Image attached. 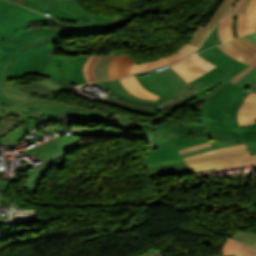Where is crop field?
<instances>
[{
  "label": "crop field",
  "instance_id": "32",
  "mask_svg": "<svg viewBox=\"0 0 256 256\" xmlns=\"http://www.w3.org/2000/svg\"><path fill=\"white\" fill-rule=\"evenodd\" d=\"M89 56H80L73 66V77L77 85L86 83L82 74V65Z\"/></svg>",
  "mask_w": 256,
  "mask_h": 256
},
{
  "label": "crop field",
  "instance_id": "44",
  "mask_svg": "<svg viewBox=\"0 0 256 256\" xmlns=\"http://www.w3.org/2000/svg\"><path fill=\"white\" fill-rule=\"evenodd\" d=\"M71 3H72L73 9L76 10L77 12H79L80 14H82V15L88 17V18H92V19L94 18V15H93V14H91V13H89V12L83 10V9L79 6L77 0H71Z\"/></svg>",
  "mask_w": 256,
  "mask_h": 256
},
{
  "label": "crop field",
  "instance_id": "52",
  "mask_svg": "<svg viewBox=\"0 0 256 256\" xmlns=\"http://www.w3.org/2000/svg\"><path fill=\"white\" fill-rule=\"evenodd\" d=\"M50 80H52V79H50ZM52 81L57 82V83H59V84H61V85H64V86H66V87H68V88H72L73 86H75V85H73V84H71V83H69V82L55 81V80H52Z\"/></svg>",
  "mask_w": 256,
  "mask_h": 256
},
{
  "label": "crop field",
  "instance_id": "57",
  "mask_svg": "<svg viewBox=\"0 0 256 256\" xmlns=\"http://www.w3.org/2000/svg\"><path fill=\"white\" fill-rule=\"evenodd\" d=\"M56 3L59 2V0H54Z\"/></svg>",
  "mask_w": 256,
  "mask_h": 256
},
{
  "label": "crop field",
  "instance_id": "4",
  "mask_svg": "<svg viewBox=\"0 0 256 256\" xmlns=\"http://www.w3.org/2000/svg\"><path fill=\"white\" fill-rule=\"evenodd\" d=\"M27 103H38L44 115L40 119L43 121L28 130L18 128L3 139L0 140V146H9L18 144L24 139L35 127L44 123L63 119L72 118V122H113L115 119L110 118V112L98 109L80 107L71 104L59 103L54 100L30 97ZM10 142L6 143L5 141Z\"/></svg>",
  "mask_w": 256,
  "mask_h": 256
},
{
  "label": "crop field",
  "instance_id": "23",
  "mask_svg": "<svg viewBox=\"0 0 256 256\" xmlns=\"http://www.w3.org/2000/svg\"><path fill=\"white\" fill-rule=\"evenodd\" d=\"M199 54H201L203 57H205L211 63L227 70L228 72H230L234 75L244 69L238 65H235V64L225 60L220 55L216 54L212 48L205 50L203 52H200Z\"/></svg>",
  "mask_w": 256,
  "mask_h": 256
},
{
  "label": "crop field",
  "instance_id": "36",
  "mask_svg": "<svg viewBox=\"0 0 256 256\" xmlns=\"http://www.w3.org/2000/svg\"><path fill=\"white\" fill-rule=\"evenodd\" d=\"M210 32V30L199 27V29L195 32V34L192 36V38L189 40L188 43H192L194 45L200 46L204 38L207 36V34Z\"/></svg>",
  "mask_w": 256,
  "mask_h": 256
},
{
  "label": "crop field",
  "instance_id": "31",
  "mask_svg": "<svg viewBox=\"0 0 256 256\" xmlns=\"http://www.w3.org/2000/svg\"><path fill=\"white\" fill-rule=\"evenodd\" d=\"M121 20L119 16L116 17H104V16H98L95 15V19L93 22H81L78 21L77 25H85V26H95V27H103L105 25H108L110 23L116 22Z\"/></svg>",
  "mask_w": 256,
  "mask_h": 256
},
{
  "label": "crop field",
  "instance_id": "2",
  "mask_svg": "<svg viewBox=\"0 0 256 256\" xmlns=\"http://www.w3.org/2000/svg\"><path fill=\"white\" fill-rule=\"evenodd\" d=\"M248 94L225 81L186 105L200 111V120L209 129L243 131L246 141L255 140L256 123L239 127L237 120V111Z\"/></svg>",
  "mask_w": 256,
  "mask_h": 256
},
{
  "label": "crop field",
  "instance_id": "28",
  "mask_svg": "<svg viewBox=\"0 0 256 256\" xmlns=\"http://www.w3.org/2000/svg\"><path fill=\"white\" fill-rule=\"evenodd\" d=\"M116 56L112 53L102 56L95 66V77L97 81L109 79L107 67L111 59Z\"/></svg>",
  "mask_w": 256,
  "mask_h": 256
},
{
  "label": "crop field",
  "instance_id": "37",
  "mask_svg": "<svg viewBox=\"0 0 256 256\" xmlns=\"http://www.w3.org/2000/svg\"><path fill=\"white\" fill-rule=\"evenodd\" d=\"M78 56L76 57H68L66 63H65V69H64V73L65 76L67 78L68 81L74 82L73 81V77H72V66L75 63L76 59Z\"/></svg>",
  "mask_w": 256,
  "mask_h": 256
},
{
  "label": "crop field",
  "instance_id": "15",
  "mask_svg": "<svg viewBox=\"0 0 256 256\" xmlns=\"http://www.w3.org/2000/svg\"><path fill=\"white\" fill-rule=\"evenodd\" d=\"M211 141L210 139L208 140H204V141H200V142H196V143H191V144H187V145H183V146H179V147H173V146H169V147H164L161 149H158L157 151H147L145 152L146 154H149L151 156L146 157V158H142L144 165L147 164H153V163H160V162H166V161H172V160H178V159H182L181 155L177 152V150L190 146V145H194V144H198V143H203V142H208Z\"/></svg>",
  "mask_w": 256,
  "mask_h": 256
},
{
  "label": "crop field",
  "instance_id": "8",
  "mask_svg": "<svg viewBox=\"0 0 256 256\" xmlns=\"http://www.w3.org/2000/svg\"><path fill=\"white\" fill-rule=\"evenodd\" d=\"M219 76L218 78L212 80L211 82L205 84L204 86L198 88L197 90L189 89L171 99H168L160 104L157 105L159 114L155 115L152 122H156L159 120H163L168 117L175 109L181 107L183 104L187 103L188 101L207 93L210 89L218 85L219 83L225 81L223 79L224 75Z\"/></svg>",
  "mask_w": 256,
  "mask_h": 256
},
{
  "label": "crop field",
  "instance_id": "35",
  "mask_svg": "<svg viewBox=\"0 0 256 256\" xmlns=\"http://www.w3.org/2000/svg\"><path fill=\"white\" fill-rule=\"evenodd\" d=\"M208 37V36H207ZM220 40L218 37V31H217V26L216 28L212 31V33L209 35V37L206 39V41L203 43V45L195 52H200L202 50H205L207 48H210L216 44H220Z\"/></svg>",
  "mask_w": 256,
  "mask_h": 256
},
{
  "label": "crop field",
  "instance_id": "51",
  "mask_svg": "<svg viewBox=\"0 0 256 256\" xmlns=\"http://www.w3.org/2000/svg\"><path fill=\"white\" fill-rule=\"evenodd\" d=\"M180 162H184V161L178 160V161H172V162H166V163H160V164L147 165V166H143V167L146 169V168H150V167H154V166H158V165L171 164V163H180Z\"/></svg>",
  "mask_w": 256,
  "mask_h": 256
},
{
  "label": "crop field",
  "instance_id": "56",
  "mask_svg": "<svg viewBox=\"0 0 256 256\" xmlns=\"http://www.w3.org/2000/svg\"><path fill=\"white\" fill-rule=\"evenodd\" d=\"M9 1H13V2H16V3H20V2H18V1H16V0H9Z\"/></svg>",
  "mask_w": 256,
  "mask_h": 256
},
{
  "label": "crop field",
  "instance_id": "41",
  "mask_svg": "<svg viewBox=\"0 0 256 256\" xmlns=\"http://www.w3.org/2000/svg\"><path fill=\"white\" fill-rule=\"evenodd\" d=\"M39 84L45 86V87H48V88H53V89H57V90H60V91H71L70 89L66 88V87H63L57 83H54L48 79H45V80H41V81H37Z\"/></svg>",
  "mask_w": 256,
  "mask_h": 256
},
{
  "label": "crop field",
  "instance_id": "40",
  "mask_svg": "<svg viewBox=\"0 0 256 256\" xmlns=\"http://www.w3.org/2000/svg\"><path fill=\"white\" fill-rule=\"evenodd\" d=\"M236 256H256V249L241 244L236 252Z\"/></svg>",
  "mask_w": 256,
  "mask_h": 256
},
{
  "label": "crop field",
  "instance_id": "9",
  "mask_svg": "<svg viewBox=\"0 0 256 256\" xmlns=\"http://www.w3.org/2000/svg\"><path fill=\"white\" fill-rule=\"evenodd\" d=\"M29 95L16 89L10 82L0 85V116L11 113H28L21 104L26 103Z\"/></svg>",
  "mask_w": 256,
  "mask_h": 256
},
{
  "label": "crop field",
  "instance_id": "14",
  "mask_svg": "<svg viewBox=\"0 0 256 256\" xmlns=\"http://www.w3.org/2000/svg\"><path fill=\"white\" fill-rule=\"evenodd\" d=\"M252 165H256V155L204 163V164L192 166L191 169L193 170V172L205 170L209 168H215L217 171H220V170L230 169V168L239 167V166L247 167Z\"/></svg>",
  "mask_w": 256,
  "mask_h": 256
},
{
  "label": "crop field",
  "instance_id": "53",
  "mask_svg": "<svg viewBox=\"0 0 256 256\" xmlns=\"http://www.w3.org/2000/svg\"><path fill=\"white\" fill-rule=\"evenodd\" d=\"M247 37H249L252 41L256 43V33L247 35Z\"/></svg>",
  "mask_w": 256,
  "mask_h": 256
},
{
  "label": "crop field",
  "instance_id": "29",
  "mask_svg": "<svg viewBox=\"0 0 256 256\" xmlns=\"http://www.w3.org/2000/svg\"><path fill=\"white\" fill-rule=\"evenodd\" d=\"M236 0H224L214 16L211 18L209 23L206 25L207 28L213 29L214 26L219 22V20L229 11L231 10L234 2Z\"/></svg>",
  "mask_w": 256,
  "mask_h": 256
},
{
  "label": "crop field",
  "instance_id": "47",
  "mask_svg": "<svg viewBox=\"0 0 256 256\" xmlns=\"http://www.w3.org/2000/svg\"><path fill=\"white\" fill-rule=\"evenodd\" d=\"M44 8H49L51 7L52 5L56 4L55 2H53L52 0H30Z\"/></svg>",
  "mask_w": 256,
  "mask_h": 256
},
{
  "label": "crop field",
  "instance_id": "55",
  "mask_svg": "<svg viewBox=\"0 0 256 256\" xmlns=\"http://www.w3.org/2000/svg\"><path fill=\"white\" fill-rule=\"evenodd\" d=\"M91 134H98V130L91 129Z\"/></svg>",
  "mask_w": 256,
  "mask_h": 256
},
{
  "label": "crop field",
  "instance_id": "49",
  "mask_svg": "<svg viewBox=\"0 0 256 256\" xmlns=\"http://www.w3.org/2000/svg\"><path fill=\"white\" fill-rule=\"evenodd\" d=\"M237 22H238V15L234 14V18H233V35H234L235 38L238 37Z\"/></svg>",
  "mask_w": 256,
  "mask_h": 256
},
{
  "label": "crop field",
  "instance_id": "45",
  "mask_svg": "<svg viewBox=\"0 0 256 256\" xmlns=\"http://www.w3.org/2000/svg\"><path fill=\"white\" fill-rule=\"evenodd\" d=\"M100 57L101 56H94V58L92 59V61L90 62L89 66H88V74H89V78L91 81H96L95 77H94V65L96 64V61Z\"/></svg>",
  "mask_w": 256,
  "mask_h": 256
},
{
  "label": "crop field",
  "instance_id": "42",
  "mask_svg": "<svg viewBox=\"0 0 256 256\" xmlns=\"http://www.w3.org/2000/svg\"><path fill=\"white\" fill-rule=\"evenodd\" d=\"M211 146H213L211 142L198 144V145H194V146L187 147V148H184L182 150H179V153L184 154V153H187V152H190V151H194V150L201 149V148H206V147H211Z\"/></svg>",
  "mask_w": 256,
  "mask_h": 256
},
{
  "label": "crop field",
  "instance_id": "18",
  "mask_svg": "<svg viewBox=\"0 0 256 256\" xmlns=\"http://www.w3.org/2000/svg\"><path fill=\"white\" fill-rule=\"evenodd\" d=\"M238 119L240 126L256 122V94L250 92L239 109Z\"/></svg>",
  "mask_w": 256,
  "mask_h": 256
},
{
  "label": "crop field",
  "instance_id": "1",
  "mask_svg": "<svg viewBox=\"0 0 256 256\" xmlns=\"http://www.w3.org/2000/svg\"><path fill=\"white\" fill-rule=\"evenodd\" d=\"M30 26L32 24L27 23L0 44V83L7 79L32 74L46 76L45 66L55 54L53 43L60 44L63 37L103 34L102 28H33L26 30Z\"/></svg>",
  "mask_w": 256,
  "mask_h": 256
},
{
  "label": "crop field",
  "instance_id": "27",
  "mask_svg": "<svg viewBox=\"0 0 256 256\" xmlns=\"http://www.w3.org/2000/svg\"><path fill=\"white\" fill-rule=\"evenodd\" d=\"M99 84H101L103 87H105L108 90H112L114 92H117L125 97L140 101V102H154L157 103V101H147L145 99H140V98H136L135 96H133L132 94H130L121 84V82L119 81V79L114 80V81H105V82H98Z\"/></svg>",
  "mask_w": 256,
  "mask_h": 256
},
{
  "label": "crop field",
  "instance_id": "34",
  "mask_svg": "<svg viewBox=\"0 0 256 256\" xmlns=\"http://www.w3.org/2000/svg\"><path fill=\"white\" fill-rule=\"evenodd\" d=\"M232 239L256 247V234L240 231Z\"/></svg>",
  "mask_w": 256,
  "mask_h": 256
},
{
  "label": "crop field",
  "instance_id": "20",
  "mask_svg": "<svg viewBox=\"0 0 256 256\" xmlns=\"http://www.w3.org/2000/svg\"><path fill=\"white\" fill-rule=\"evenodd\" d=\"M183 58H185V57L182 56L181 54L175 53L168 57L151 60V61H147V62H143V63H139V64H137V62L135 61L133 63V65L131 66L128 75L139 72V71H143V70L163 67L165 65H168L170 63H173V62L178 61Z\"/></svg>",
  "mask_w": 256,
  "mask_h": 256
},
{
  "label": "crop field",
  "instance_id": "7",
  "mask_svg": "<svg viewBox=\"0 0 256 256\" xmlns=\"http://www.w3.org/2000/svg\"><path fill=\"white\" fill-rule=\"evenodd\" d=\"M217 47L227 56L243 64L249 65L245 70L238 73L228 81L235 84L256 67V44L246 36H241Z\"/></svg>",
  "mask_w": 256,
  "mask_h": 256
},
{
  "label": "crop field",
  "instance_id": "21",
  "mask_svg": "<svg viewBox=\"0 0 256 256\" xmlns=\"http://www.w3.org/2000/svg\"><path fill=\"white\" fill-rule=\"evenodd\" d=\"M212 143H213L214 147L201 149V150H197V151H194V152H191V153H187V154L182 155V157L194 155V154H197V153H201V152L212 150V149L219 148V147L242 144V143H246L251 155L256 154V141L245 142L243 137L212 140Z\"/></svg>",
  "mask_w": 256,
  "mask_h": 256
},
{
  "label": "crop field",
  "instance_id": "48",
  "mask_svg": "<svg viewBox=\"0 0 256 256\" xmlns=\"http://www.w3.org/2000/svg\"><path fill=\"white\" fill-rule=\"evenodd\" d=\"M213 49L215 50L216 53L220 54V55H221L222 57H224L225 59L230 60V61H232V62H234V63H236V64H238V65H240V66H242V67H244V68L247 67L246 65H243V64H241V63H239V62H237V61H234V60H232L231 58L227 57V56H226L225 54H223L217 47H214Z\"/></svg>",
  "mask_w": 256,
  "mask_h": 256
},
{
  "label": "crop field",
  "instance_id": "39",
  "mask_svg": "<svg viewBox=\"0 0 256 256\" xmlns=\"http://www.w3.org/2000/svg\"><path fill=\"white\" fill-rule=\"evenodd\" d=\"M249 2L250 0H238L236 5L230 12L244 15Z\"/></svg>",
  "mask_w": 256,
  "mask_h": 256
},
{
  "label": "crop field",
  "instance_id": "19",
  "mask_svg": "<svg viewBox=\"0 0 256 256\" xmlns=\"http://www.w3.org/2000/svg\"><path fill=\"white\" fill-rule=\"evenodd\" d=\"M256 31V0H251L245 16L239 15V36Z\"/></svg>",
  "mask_w": 256,
  "mask_h": 256
},
{
  "label": "crop field",
  "instance_id": "46",
  "mask_svg": "<svg viewBox=\"0 0 256 256\" xmlns=\"http://www.w3.org/2000/svg\"><path fill=\"white\" fill-rule=\"evenodd\" d=\"M122 130H99V135H106V137H121Z\"/></svg>",
  "mask_w": 256,
  "mask_h": 256
},
{
  "label": "crop field",
  "instance_id": "59",
  "mask_svg": "<svg viewBox=\"0 0 256 256\" xmlns=\"http://www.w3.org/2000/svg\"><path fill=\"white\" fill-rule=\"evenodd\" d=\"M0 192H2L1 189H0Z\"/></svg>",
  "mask_w": 256,
  "mask_h": 256
},
{
  "label": "crop field",
  "instance_id": "26",
  "mask_svg": "<svg viewBox=\"0 0 256 256\" xmlns=\"http://www.w3.org/2000/svg\"><path fill=\"white\" fill-rule=\"evenodd\" d=\"M232 18L233 14L228 13L218 24L219 36L222 43L234 38L232 35Z\"/></svg>",
  "mask_w": 256,
  "mask_h": 256
},
{
  "label": "crop field",
  "instance_id": "43",
  "mask_svg": "<svg viewBox=\"0 0 256 256\" xmlns=\"http://www.w3.org/2000/svg\"><path fill=\"white\" fill-rule=\"evenodd\" d=\"M197 48H198L197 46H193L187 43L182 48H180L178 52L187 57L191 55Z\"/></svg>",
  "mask_w": 256,
  "mask_h": 256
},
{
  "label": "crop field",
  "instance_id": "25",
  "mask_svg": "<svg viewBox=\"0 0 256 256\" xmlns=\"http://www.w3.org/2000/svg\"><path fill=\"white\" fill-rule=\"evenodd\" d=\"M52 169L54 168L43 163L24 174V176L34 179V182H33L34 192H39L38 191L39 184L41 183L44 176L48 174Z\"/></svg>",
  "mask_w": 256,
  "mask_h": 256
},
{
  "label": "crop field",
  "instance_id": "30",
  "mask_svg": "<svg viewBox=\"0 0 256 256\" xmlns=\"http://www.w3.org/2000/svg\"><path fill=\"white\" fill-rule=\"evenodd\" d=\"M64 153H68L81 145L80 139L73 136H65L56 139Z\"/></svg>",
  "mask_w": 256,
  "mask_h": 256
},
{
  "label": "crop field",
  "instance_id": "5",
  "mask_svg": "<svg viewBox=\"0 0 256 256\" xmlns=\"http://www.w3.org/2000/svg\"><path fill=\"white\" fill-rule=\"evenodd\" d=\"M137 131H152L153 148L164 146H179L208 138L219 139L243 136L237 131L209 130L199 123H173L168 122L155 126L140 123Z\"/></svg>",
  "mask_w": 256,
  "mask_h": 256
},
{
  "label": "crop field",
  "instance_id": "11",
  "mask_svg": "<svg viewBox=\"0 0 256 256\" xmlns=\"http://www.w3.org/2000/svg\"><path fill=\"white\" fill-rule=\"evenodd\" d=\"M245 155H250V154L248 152L246 145L242 144V145L215 149L212 151L186 157L183 159L186 161V163L189 166H191V165H196L204 162L222 160V159H227V158H232L237 156H245Z\"/></svg>",
  "mask_w": 256,
  "mask_h": 256
},
{
  "label": "crop field",
  "instance_id": "17",
  "mask_svg": "<svg viewBox=\"0 0 256 256\" xmlns=\"http://www.w3.org/2000/svg\"><path fill=\"white\" fill-rule=\"evenodd\" d=\"M107 126H117L123 129L122 137L129 139H142L149 141L152 148L151 132H136L139 123L117 120L115 123L106 124Z\"/></svg>",
  "mask_w": 256,
  "mask_h": 256
},
{
  "label": "crop field",
  "instance_id": "38",
  "mask_svg": "<svg viewBox=\"0 0 256 256\" xmlns=\"http://www.w3.org/2000/svg\"><path fill=\"white\" fill-rule=\"evenodd\" d=\"M239 246H240L239 243H236L230 239H227L226 243L223 246L224 255L235 254Z\"/></svg>",
  "mask_w": 256,
  "mask_h": 256
},
{
  "label": "crop field",
  "instance_id": "3",
  "mask_svg": "<svg viewBox=\"0 0 256 256\" xmlns=\"http://www.w3.org/2000/svg\"><path fill=\"white\" fill-rule=\"evenodd\" d=\"M225 71L214 68L198 79L186 83L170 66L135 74L139 83L147 90L161 96L158 103L171 98L191 87L198 88L205 83L211 81L212 79L218 77ZM102 102L117 106L120 108L128 109L131 111L155 115L158 114L156 104L154 103H140L121 95H118L112 91L107 94V98L102 100Z\"/></svg>",
  "mask_w": 256,
  "mask_h": 256
},
{
  "label": "crop field",
  "instance_id": "54",
  "mask_svg": "<svg viewBox=\"0 0 256 256\" xmlns=\"http://www.w3.org/2000/svg\"><path fill=\"white\" fill-rule=\"evenodd\" d=\"M29 111H36V110H40L39 107H26Z\"/></svg>",
  "mask_w": 256,
  "mask_h": 256
},
{
  "label": "crop field",
  "instance_id": "12",
  "mask_svg": "<svg viewBox=\"0 0 256 256\" xmlns=\"http://www.w3.org/2000/svg\"><path fill=\"white\" fill-rule=\"evenodd\" d=\"M21 5L35 10L37 12L45 14L46 12L49 13L52 18L57 20H69V21H93L92 19H87L86 17L78 14L71 8L70 0H60L59 3L52 6L51 8L45 10L29 1H24Z\"/></svg>",
  "mask_w": 256,
  "mask_h": 256
},
{
  "label": "crop field",
  "instance_id": "33",
  "mask_svg": "<svg viewBox=\"0 0 256 256\" xmlns=\"http://www.w3.org/2000/svg\"><path fill=\"white\" fill-rule=\"evenodd\" d=\"M236 85L256 93V68Z\"/></svg>",
  "mask_w": 256,
  "mask_h": 256
},
{
  "label": "crop field",
  "instance_id": "24",
  "mask_svg": "<svg viewBox=\"0 0 256 256\" xmlns=\"http://www.w3.org/2000/svg\"><path fill=\"white\" fill-rule=\"evenodd\" d=\"M66 58L67 57H61L55 54L46 67V75L52 78L66 80L63 73Z\"/></svg>",
  "mask_w": 256,
  "mask_h": 256
},
{
  "label": "crop field",
  "instance_id": "22",
  "mask_svg": "<svg viewBox=\"0 0 256 256\" xmlns=\"http://www.w3.org/2000/svg\"><path fill=\"white\" fill-rule=\"evenodd\" d=\"M123 86L133 95L147 100H158L159 96L144 89L137 81L135 75L126 78H120Z\"/></svg>",
  "mask_w": 256,
  "mask_h": 256
},
{
  "label": "crop field",
  "instance_id": "58",
  "mask_svg": "<svg viewBox=\"0 0 256 256\" xmlns=\"http://www.w3.org/2000/svg\"><path fill=\"white\" fill-rule=\"evenodd\" d=\"M18 1L22 2V1H24V0H18Z\"/></svg>",
  "mask_w": 256,
  "mask_h": 256
},
{
  "label": "crop field",
  "instance_id": "13",
  "mask_svg": "<svg viewBox=\"0 0 256 256\" xmlns=\"http://www.w3.org/2000/svg\"><path fill=\"white\" fill-rule=\"evenodd\" d=\"M21 154L38 157L49 164L66 155L63 153L55 139L48 140L36 147L25 150Z\"/></svg>",
  "mask_w": 256,
  "mask_h": 256
},
{
  "label": "crop field",
  "instance_id": "16",
  "mask_svg": "<svg viewBox=\"0 0 256 256\" xmlns=\"http://www.w3.org/2000/svg\"><path fill=\"white\" fill-rule=\"evenodd\" d=\"M134 61L131 54H122L114 57L108 68L110 78L126 76Z\"/></svg>",
  "mask_w": 256,
  "mask_h": 256
},
{
  "label": "crop field",
  "instance_id": "10",
  "mask_svg": "<svg viewBox=\"0 0 256 256\" xmlns=\"http://www.w3.org/2000/svg\"><path fill=\"white\" fill-rule=\"evenodd\" d=\"M187 83L215 66L210 62L195 54L182 61L170 65Z\"/></svg>",
  "mask_w": 256,
  "mask_h": 256
},
{
  "label": "crop field",
  "instance_id": "6",
  "mask_svg": "<svg viewBox=\"0 0 256 256\" xmlns=\"http://www.w3.org/2000/svg\"><path fill=\"white\" fill-rule=\"evenodd\" d=\"M43 20L51 19L18 4L0 0V43L27 22Z\"/></svg>",
  "mask_w": 256,
  "mask_h": 256
},
{
  "label": "crop field",
  "instance_id": "50",
  "mask_svg": "<svg viewBox=\"0 0 256 256\" xmlns=\"http://www.w3.org/2000/svg\"><path fill=\"white\" fill-rule=\"evenodd\" d=\"M93 58V55H90V57L87 59V61L85 62L84 66H83V74L87 80V82H89V78H88V75H87V65L88 63L90 62V60Z\"/></svg>",
  "mask_w": 256,
  "mask_h": 256
}]
</instances>
